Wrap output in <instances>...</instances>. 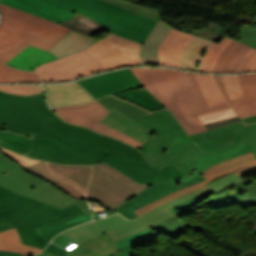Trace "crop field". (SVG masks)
Wrapping results in <instances>:
<instances>
[{
	"mask_svg": "<svg viewBox=\"0 0 256 256\" xmlns=\"http://www.w3.org/2000/svg\"><path fill=\"white\" fill-rule=\"evenodd\" d=\"M158 233L159 232L148 227L136 234L120 239L115 243L119 247V249L126 254V256H134L135 255L133 251L134 247L156 239L158 236Z\"/></svg>",
	"mask_w": 256,
	"mask_h": 256,
	"instance_id": "1d83c4d3",
	"label": "crop field"
},
{
	"mask_svg": "<svg viewBox=\"0 0 256 256\" xmlns=\"http://www.w3.org/2000/svg\"><path fill=\"white\" fill-rule=\"evenodd\" d=\"M50 107L83 104L96 100L78 82L64 85L44 86Z\"/></svg>",
	"mask_w": 256,
	"mask_h": 256,
	"instance_id": "5142ce71",
	"label": "crop field"
},
{
	"mask_svg": "<svg viewBox=\"0 0 256 256\" xmlns=\"http://www.w3.org/2000/svg\"><path fill=\"white\" fill-rule=\"evenodd\" d=\"M241 178L239 175L235 172L230 175H227L221 179L215 180L212 183L207 184L209 188H211L213 191L217 192L219 190H222L226 187H229L235 183L241 182Z\"/></svg>",
	"mask_w": 256,
	"mask_h": 256,
	"instance_id": "d23c7cc5",
	"label": "crop field"
},
{
	"mask_svg": "<svg viewBox=\"0 0 256 256\" xmlns=\"http://www.w3.org/2000/svg\"><path fill=\"white\" fill-rule=\"evenodd\" d=\"M146 89L177 117L188 135L207 130L197 115L228 108L210 107L194 74L168 69H131Z\"/></svg>",
	"mask_w": 256,
	"mask_h": 256,
	"instance_id": "34b2d1b8",
	"label": "crop field"
},
{
	"mask_svg": "<svg viewBox=\"0 0 256 256\" xmlns=\"http://www.w3.org/2000/svg\"><path fill=\"white\" fill-rule=\"evenodd\" d=\"M236 132L199 143L198 145L206 152L231 145Z\"/></svg>",
	"mask_w": 256,
	"mask_h": 256,
	"instance_id": "c21b1889",
	"label": "crop field"
},
{
	"mask_svg": "<svg viewBox=\"0 0 256 256\" xmlns=\"http://www.w3.org/2000/svg\"><path fill=\"white\" fill-rule=\"evenodd\" d=\"M99 101L109 109L116 108L154 133L139 148L152 166L161 169L171 163L187 176L196 170L165 153L172 138L185 134L183 128L169 111L149 113L114 96H105Z\"/></svg>",
	"mask_w": 256,
	"mask_h": 256,
	"instance_id": "412701ff",
	"label": "crop field"
},
{
	"mask_svg": "<svg viewBox=\"0 0 256 256\" xmlns=\"http://www.w3.org/2000/svg\"><path fill=\"white\" fill-rule=\"evenodd\" d=\"M118 97V96H117Z\"/></svg>",
	"mask_w": 256,
	"mask_h": 256,
	"instance_id": "e1d0b9f6",
	"label": "crop field"
},
{
	"mask_svg": "<svg viewBox=\"0 0 256 256\" xmlns=\"http://www.w3.org/2000/svg\"><path fill=\"white\" fill-rule=\"evenodd\" d=\"M245 189L248 192L253 205L256 206V182L245 186Z\"/></svg>",
	"mask_w": 256,
	"mask_h": 256,
	"instance_id": "1f2cbd36",
	"label": "crop field"
},
{
	"mask_svg": "<svg viewBox=\"0 0 256 256\" xmlns=\"http://www.w3.org/2000/svg\"><path fill=\"white\" fill-rule=\"evenodd\" d=\"M63 236L67 237L76 244H81L82 242L94 238V232L92 230L91 222H88L84 225L70 228L62 233Z\"/></svg>",
	"mask_w": 256,
	"mask_h": 256,
	"instance_id": "b80d0937",
	"label": "crop field"
},
{
	"mask_svg": "<svg viewBox=\"0 0 256 256\" xmlns=\"http://www.w3.org/2000/svg\"><path fill=\"white\" fill-rule=\"evenodd\" d=\"M213 77H214L215 81L217 82V84H218V86H219V88H220V90H221V92H222V94H223L225 100H226L227 102L230 101V99H229V97H228V94H227V92H226V90H225V87H224V85H223V82H222L221 77H220V76H213Z\"/></svg>",
	"mask_w": 256,
	"mask_h": 256,
	"instance_id": "0fb4a251",
	"label": "crop field"
},
{
	"mask_svg": "<svg viewBox=\"0 0 256 256\" xmlns=\"http://www.w3.org/2000/svg\"><path fill=\"white\" fill-rule=\"evenodd\" d=\"M229 147H224V148L219 149V150H215V151H212V152L205 153L200 158H198V160L195 162V164L192 167L198 169L201 165H203L208 160H213V159L225 157L228 150H229Z\"/></svg>",
	"mask_w": 256,
	"mask_h": 256,
	"instance_id": "73cf0c24",
	"label": "crop field"
},
{
	"mask_svg": "<svg viewBox=\"0 0 256 256\" xmlns=\"http://www.w3.org/2000/svg\"><path fill=\"white\" fill-rule=\"evenodd\" d=\"M0 184L4 187L59 208H66L77 202L86 213L91 210L86 200H76L48 182L24 172L19 165L0 152Z\"/></svg>",
	"mask_w": 256,
	"mask_h": 256,
	"instance_id": "d8731c3e",
	"label": "crop field"
},
{
	"mask_svg": "<svg viewBox=\"0 0 256 256\" xmlns=\"http://www.w3.org/2000/svg\"><path fill=\"white\" fill-rule=\"evenodd\" d=\"M0 60L4 63L31 45L49 50L70 29L0 4Z\"/></svg>",
	"mask_w": 256,
	"mask_h": 256,
	"instance_id": "f4fd0767",
	"label": "crop field"
},
{
	"mask_svg": "<svg viewBox=\"0 0 256 256\" xmlns=\"http://www.w3.org/2000/svg\"><path fill=\"white\" fill-rule=\"evenodd\" d=\"M53 59L56 58L49 52L29 46L5 64L21 70L33 71L36 65Z\"/></svg>",
	"mask_w": 256,
	"mask_h": 256,
	"instance_id": "ae1a2a85",
	"label": "crop field"
},
{
	"mask_svg": "<svg viewBox=\"0 0 256 256\" xmlns=\"http://www.w3.org/2000/svg\"><path fill=\"white\" fill-rule=\"evenodd\" d=\"M250 151H251V149H250L248 143H243V142L239 141L237 144H235L234 146H232L230 148L227 156L225 157V160L230 157L245 154Z\"/></svg>",
	"mask_w": 256,
	"mask_h": 256,
	"instance_id": "89e229c0",
	"label": "crop field"
},
{
	"mask_svg": "<svg viewBox=\"0 0 256 256\" xmlns=\"http://www.w3.org/2000/svg\"><path fill=\"white\" fill-rule=\"evenodd\" d=\"M141 44L108 33L87 49L107 70L139 65Z\"/></svg>",
	"mask_w": 256,
	"mask_h": 256,
	"instance_id": "28ad6ade",
	"label": "crop field"
},
{
	"mask_svg": "<svg viewBox=\"0 0 256 256\" xmlns=\"http://www.w3.org/2000/svg\"><path fill=\"white\" fill-rule=\"evenodd\" d=\"M46 251L51 252L53 254L59 255V256H64L65 252H63L61 249H59L58 247L54 246L53 244H49V246L47 247Z\"/></svg>",
	"mask_w": 256,
	"mask_h": 256,
	"instance_id": "1d79db26",
	"label": "crop field"
},
{
	"mask_svg": "<svg viewBox=\"0 0 256 256\" xmlns=\"http://www.w3.org/2000/svg\"><path fill=\"white\" fill-rule=\"evenodd\" d=\"M113 4L125 7L127 9H130L134 12H137L145 17L157 20L159 19V10L158 9H154V8H150V7H146V6H142V5H137V4H133L130 2H126V1H120V0H107Z\"/></svg>",
	"mask_w": 256,
	"mask_h": 256,
	"instance_id": "c035e120",
	"label": "crop field"
},
{
	"mask_svg": "<svg viewBox=\"0 0 256 256\" xmlns=\"http://www.w3.org/2000/svg\"><path fill=\"white\" fill-rule=\"evenodd\" d=\"M236 130H238V132L232 145L237 143L238 140H242L244 142H256V123L245 125L242 122H239L214 130L191 135L190 137L194 140V142L198 143Z\"/></svg>",
	"mask_w": 256,
	"mask_h": 256,
	"instance_id": "4177f3b9",
	"label": "crop field"
},
{
	"mask_svg": "<svg viewBox=\"0 0 256 256\" xmlns=\"http://www.w3.org/2000/svg\"><path fill=\"white\" fill-rule=\"evenodd\" d=\"M187 142H191V140L189 139L187 134H185V135H182L180 137L174 138L172 140V142L170 143L169 147L178 146V145H181V144H184V143H187Z\"/></svg>",
	"mask_w": 256,
	"mask_h": 256,
	"instance_id": "dbb93151",
	"label": "crop field"
},
{
	"mask_svg": "<svg viewBox=\"0 0 256 256\" xmlns=\"http://www.w3.org/2000/svg\"><path fill=\"white\" fill-rule=\"evenodd\" d=\"M240 41L256 49V23L241 25Z\"/></svg>",
	"mask_w": 256,
	"mask_h": 256,
	"instance_id": "425ffa30",
	"label": "crop field"
},
{
	"mask_svg": "<svg viewBox=\"0 0 256 256\" xmlns=\"http://www.w3.org/2000/svg\"><path fill=\"white\" fill-rule=\"evenodd\" d=\"M256 164L255 157L253 153H247L245 155L237 156L231 159H228L222 163H219L206 171L202 173L203 177H205L207 180H204L198 184L192 185L190 187L184 188L182 190L176 191L160 200H157L141 209H138L134 211L137 215L141 216L189 191L199 189L203 186H205L207 183L218 179L222 176H225L227 174H230L234 172L235 170L241 169L246 166H250Z\"/></svg>",
	"mask_w": 256,
	"mask_h": 256,
	"instance_id": "22f410ed",
	"label": "crop field"
},
{
	"mask_svg": "<svg viewBox=\"0 0 256 256\" xmlns=\"http://www.w3.org/2000/svg\"><path fill=\"white\" fill-rule=\"evenodd\" d=\"M244 96L228 102L242 118L256 114V74L237 76Z\"/></svg>",
	"mask_w": 256,
	"mask_h": 256,
	"instance_id": "92a150f3",
	"label": "crop field"
},
{
	"mask_svg": "<svg viewBox=\"0 0 256 256\" xmlns=\"http://www.w3.org/2000/svg\"><path fill=\"white\" fill-rule=\"evenodd\" d=\"M240 176L256 172V165L236 171Z\"/></svg>",
	"mask_w": 256,
	"mask_h": 256,
	"instance_id": "9d1cf04e",
	"label": "crop field"
},
{
	"mask_svg": "<svg viewBox=\"0 0 256 256\" xmlns=\"http://www.w3.org/2000/svg\"><path fill=\"white\" fill-rule=\"evenodd\" d=\"M0 128L20 134L36 133L26 156L63 164L104 161L138 183L150 186L167 179L185 178L171 164L159 170L140 151L116 139L62 121L49 110L44 92L16 96L0 91Z\"/></svg>",
	"mask_w": 256,
	"mask_h": 256,
	"instance_id": "8a807250",
	"label": "crop field"
},
{
	"mask_svg": "<svg viewBox=\"0 0 256 256\" xmlns=\"http://www.w3.org/2000/svg\"><path fill=\"white\" fill-rule=\"evenodd\" d=\"M176 183V180H168L154 184L148 187L138 196L133 197L126 204L116 210H118L123 216L127 217L128 219L137 218L139 216H137L132 211L144 205H147L173 191L179 190V188L176 186Z\"/></svg>",
	"mask_w": 256,
	"mask_h": 256,
	"instance_id": "d9b57169",
	"label": "crop field"
},
{
	"mask_svg": "<svg viewBox=\"0 0 256 256\" xmlns=\"http://www.w3.org/2000/svg\"><path fill=\"white\" fill-rule=\"evenodd\" d=\"M92 220V214L90 213L88 216L79 214L77 216L71 217L69 219L63 220L61 222L43 227L38 229V231L48 240L50 241L57 233L66 230L72 226H76L82 224L86 221Z\"/></svg>",
	"mask_w": 256,
	"mask_h": 256,
	"instance_id": "120bbe31",
	"label": "crop field"
},
{
	"mask_svg": "<svg viewBox=\"0 0 256 256\" xmlns=\"http://www.w3.org/2000/svg\"><path fill=\"white\" fill-rule=\"evenodd\" d=\"M0 250L17 251L25 255L37 254L42 251L22 244L15 228L0 232Z\"/></svg>",
	"mask_w": 256,
	"mask_h": 256,
	"instance_id": "750c4746",
	"label": "crop field"
},
{
	"mask_svg": "<svg viewBox=\"0 0 256 256\" xmlns=\"http://www.w3.org/2000/svg\"><path fill=\"white\" fill-rule=\"evenodd\" d=\"M34 135H20L0 129V145L25 155L31 147Z\"/></svg>",
	"mask_w": 256,
	"mask_h": 256,
	"instance_id": "bd1437ed",
	"label": "crop field"
},
{
	"mask_svg": "<svg viewBox=\"0 0 256 256\" xmlns=\"http://www.w3.org/2000/svg\"><path fill=\"white\" fill-rule=\"evenodd\" d=\"M252 47L232 40L221 54L213 72H235L238 64Z\"/></svg>",
	"mask_w": 256,
	"mask_h": 256,
	"instance_id": "eef30255",
	"label": "crop field"
},
{
	"mask_svg": "<svg viewBox=\"0 0 256 256\" xmlns=\"http://www.w3.org/2000/svg\"><path fill=\"white\" fill-rule=\"evenodd\" d=\"M210 42L194 36L191 42L183 50L180 62V68L197 70L206 47Z\"/></svg>",
	"mask_w": 256,
	"mask_h": 256,
	"instance_id": "d3111659",
	"label": "crop field"
},
{
	"mask_svg": "<svg viewBox=\"0 0 256 256\" xmlns=\"http://www.w3.org/2000/svg\"><path fill=\"white\" fill-rule=\"evenodd\" d=\"M253 22H256V16L254 17V21Z\"/></svg>",
	"mask_w": 256,
	"mask_h": 256,
	"instance_id": "0f1d7ab4",
	"label": "crop field"
},
{
	"mask_svg": "<svg viewBox=\"0 0 256 256\" xmlns=\"http://www.w3.org/2000/svg\"><path fill=\"white\" fill-rule=\"evenodd\" d=\"M247 71H256V50L253 48L246 54L236 70V72Z\"/></svg>",
	"mask_w": 256,
	"mask_h": 256,
	"instance_id": "25e5ab78",
	"label": "crop field"
},
{
	"mask_svg": "<svg viewBox=\"0 0 256 256\" xmlns=\"http://www.w3.org/2000/svg\"><path fill=\"white\" fill-rule=\"evenodd\" d=\"M237 115L231 108L200 115L199 118L202 121L203 125L210 124L213 122L225 120L228 118L236 117Z\"/></svg>",
	"mask_w": 256,
	"mask_h": 256,
	"instance_id": "5d738f31",
	"label": "crop field"
},
{
	"mask_svg": "<svg viewBox=\"0 0 256 256\" xmlns=\"http://www.w3.org/2000/svg\"><path fill=\"white\" fill-rule=\"evenodd\" d=\"M231 39L224 37L220 43L212 42L208 51L204 55L201 64L199 66L200 71L212 72L219 55L222 53L224 48L228 45Z\"/></svg>",
	"mask_w": 256,
	"mask_h": 256,
	"instance_id": "028f5c9d",
	"label": "crop field"
},
{
	"mask_svg": "<svg viewBox=\"0 0 256 256\" xmlns=\"http://www.w3.org/2000/svg\"><path fill=\"white\" fill-rule=\"evenodd\" d=\"M167 153L171 154L180 161L192 166L197 160L196 158L204 154L193 142L178 147L168 148Z\"/></svg>",
	"mask_w": 256,
	"mask_h": 256,
	"instance_id": "5866460e",
	"label": "crop field"
},
{
	"mask_svg": "<svg viewBox=\"0 0 256 256\" xmlns=\"http://www.w3.org/2000/svg\"><path fill=\"white\" fill-rule=\"evenodd\" d=\"M105 70L88 50L54 60L35 69L43 82L69 81Z\"/></svg>",
	"mask_w": 256,
	"mask_h": 256,
	"instance_id": "3316defc",
	"label": "crop field"
},
{
	"mask_svg": "<svg viewBox=\"0 0 256 256\" xmlns=\"http://www.w3.org/2000/svg\"><path fill=\"white\" fill-rule=\"evenodd\" d=\"M0 90L17 95H33L44 91L41 86L30 85H0Z\"/></svg>",
	"mask_w": 256,
	"mask_h": 256,
	"instance_id": "b54c1fbb",
	"label": "crop field"
},
{
	"mask_svg": "<svg viewBox=\"0 0 256 256\" xmlns=\"http://www.w3.org/2000/svg\"><path fill=\"white\" fill-rule=\"evenodd\" d=\"M172 29V26L159 19L143 44L141 50V65H161L157 57V50Z\"/></svg>",
	"mask_w": 256,
	"mask_h": 256,
	"instance_id": "a9b5d70f",
	"label": "crop field"
},
{
	"mask_svg": "<svg viewBox=\"0 0 256 256\" xmlns=\"http://www.w3.org/2000/svg\"><path fill=\"white\" fill-rule=\"evenodd\" d=\"M192 37L193 35L173 29L158 50L161 64L179 67L181 52Z\"/></svg>",
	"mask_w": 256,
	"mask_h": 256,
	"instance_id": "214f88e0",
	"label": "crop field"
},
{
	"mask_svg": "<svg viewBox=\"0 0 256 256\" xmlns=\"http://www.w3.org/2000/svg\"><path fill=\"white\" fill-rule=\"evenodd\" d=\"M211 194H213L212 191H210V190L206 191L192 199H189L185 202H182V203L176 205L173 208H170V210L172 212H174L176 215H174V216H172L154 226H151V227L159 232L162 231L165 234H167L168 236L176 239L178 236L183 234V232L184 233L187 232V227L191 228V226H192L191 224L182 221L179 217H177V215L180 214L181 212L191 208L192 206L196 205L197 203H199L206 197L210 196Z\"/></svg>",
	"mask_w": 256,
	"mask_h": 256,
	"instance_id": "4a817a6b",
	"label": "crop field"
},
{
	"mask_svg": "<svg viewBox=\"0 0 256 256\" xmlns=\"http://www.w3.org/2000/svg\"><path fill=\"white\" fill-rule=\"evenodd\" d=\"M96 40L81 33L70 30L49 51L57 58L85 50Z\"/></svg>",
	"mask_w": 256,
	"mask_h": 256,
	"instance_id": "730fd06b",
	"label": "crop field"
},
{
	"mask_svg": "<svg viewBox=\"0 0 256 256\" xmlns=\"http://www.w3.org/2000/svg\"><path fill=\"white\" fill-rule=\"evenodd\" d=\"M242 120H243L245 123L254 122V121H256V115L250 116V117H246V118H242Z\"/></svg>",
	"mask_w": 256,
	"mask_h": 256,
	"instance_id": "db79e9e6",
	"label": "crop field"
},
{
	"mask_svg": "<svg viewBox=\"0 0 256 256\" xmlns=\"http://www.w3.org/2000/svg\"><path fill=\"white\" fill-rule=\"evenodd\" d=\"M224 161L223 159H218V160H214V161H208L206 162L203 166H201V168H199L194 174L190 175L189 178L186 179H177L178 180V184L177 186L182 189L184 187H187L189 185L195 184L197 182L202 181L204 178L202 177V175H200L204 170H206L207 168H209L212 165H215L219 162Z\"/></svg>",
	"mask_w": 256,
	"mask_h": 256,
	"instance_id": "03da06ac",
	"label": "crop field"
},
{
	"mask_svg": "<svg viewBox=\"0 0 256 256\" xmlns=\"http://www.w3.org/2000/svg\"><path fill=\"white\" fill-rule=\"evenodd\" d=\"M79 213L77 203L62 210L14 193L0 201V231L16 227L23 243L44 249L49 242L36 229Z\"/></svg>",
	"mask_w": 256,
	"mask_h": 256,
	"instance_id": "dd49c442",
	"label": "crop field"
},
{
	"mask_svg": "<svg viewBox=\"0 0 256 256\" xmlns=\"http://www.w3.org/2000/svg\"><path fill=\"white\" fill-rule=\"evenodd\" d=\"M256 231V230H255Z\"/></svg>",
	"mask_w": 256,
	"mask_h": 256,
	"instance_id": "ae633e8c",
	"label": "crop field"
},
{
	"mask_svg": "<svg viewBox=\"0 0 256 256\" xmlns=\"http://www.w3.org/2000/svg\"><path fill=\"white\" fill-rule=\"evenodd\" d=\"M0 82H40L35 73L20 71L0 63Z\"/></svg>",
	"mask_w": 256,
	"mask_h": 256,
	"instance_id": "e1f06a70",
	"label": "crop field"
},
{
	"mask_svg": "<svg viewBox=\"0 0 256 256\" xmlns=\"http://www.w3.org/2000/svg\"><path fill=\"white\" fill-rule=\"evenodd\" d=\"M96 99L128 89L143 87L130 69L114 71L79 82Z\"/></svg>",
	"mask_w": 256,
	"mask_h": 256,
	"instance_id": "cbeb9de0",
	"label": "crop field"
},
{
	"mask_svg": "<svg viewBox=\"0 0 256 256\" xmlns=\"http://www.w3.org/2000/svg\"><path fill=\"white\" fill-rule=\"evenodd\" d=\"M0 3L53 20L57 23H62L76 16L69 11L57 8L42 0H0Z\"/></svg>",
	"mask_w": 256,
	"mask_h": 256,
	"instance_id": "733c2abd",
	"label": "crop field"
},
{
	"mask_svg": "<svg viewBox=\"0 0 256 256\" xmlns=\"http://www.w3.org/2000/svg\"><path fill=\"white\" fill-rule=\"evenodd\" d=\"M117 95L126 100L133 101L148 110H157V109L166 108L147 90L141 91V92H139L138 90L126 91Z\"/></svg>",
	"mask_w": 256,
	"mask_h": 256,
	"instance_id": "d32e631a",
	"label": "crop field"
},
{
	"mask_svg": "<svg viewBox=\"0 0 256 256\" xmlns=\"http://www.w3.org/2000/svg\"><path fill=\"white\" fill-rule=\"evenodd\" d=\"M0 256H23V255L12 253V252H0Z\"/></svg>",
	"mask_w": 256,
	"mask_h": 256,
	"instance_id": "0765c3eb",
	"label": "crop field"
},
{
	"mask_svg": "<svg viewBox=\"0 0 256 256\" xmlns=\"http://www.w3.org/2000/svg\"><path fill=\"white\" fill-rule=\"evenodd\" d=\"M194 74L211 106L225 102L224 98L220 95L211 75Z\"/></svg>",
	"mask_w": 256,
	"mask_h": 256,
	"instance_id": "0bd39190",
	"label": "crop field"
},
{
	"mask_svg": "<svg viewBox=\"0 0 256 256\" xmlns=\"http://www.w3.org/2000/svg\"><path fill=\"white\" fill-rule=\"evenodd\" d=\"M206 190H208V188L189 193L133 221H128L119 214L104 218L102 220L93 221L92 223L95 228L96 236H100L108 232L114 241L129 236L139 230L174 215L168 208L173 207L176 204L194 197Z\"/></svg>",
	"mask_w": 256,
	"mask_h": 256,
	"instance_id": "5a996713",
	"label": "crop field"
},
{
	"mask_svg": "<svg viewBox=\"0 0 256 256\" xmlns=\"http://www.w3.org/2000/svg\"><path fill=\"white\" fill-rule=\"evenodd\" d=\"M12 193H14V192H12L0 185V200Z\"/></svg>",
	"mask_w": 256,
	"mask_h": 256,
	"instance_id": "447ae74e",
	"label": "crop field"
},
{
	"mask_svg": "<svg viewBox=\"0 0 256 256\" xmlns=\"http://www.w3.org/2000/svg\"><path fill=\"white\" fill-rule=\"evenodd\" d=\"M110 112L103 117L100 122L144 143L145 140L152 134L140 124L129 119L125 115L118 112L116 109L109 110ZM99 122V123H100Z\"/></svg>",
	"mask_w": 256,
	"mask_h": 256,
	"instance_id": "00972430",
	"label": "crop field"
},
{
	"mask_svg": "<svg viewBox=\"0 0 256 256\" xmlns=\"http://www.w3.org/2000/svg\"><path fill=\"white\" fill-rule=\"evenodd\" d=\"M55 6L88 16L118 35L145 41L156 21L104 0H45Z\"/></svg>",
	"mask_w": 256,
	"mask_h": 256,
	"instance_id": "e52e79f7",
	"label": "crop field"
},
{
	"mask_svg": "<svg viewBox=\"0 0 256 256\" xmlns=\"http://www.w3.org/2000/svg\"><path fill=\"white\" fill-rule=\"evenodd\" d=\"M125 254L123 253V252H118L116 255H114V256H124Z\"/></svg>",
	"mask_w": 256,
	"mask_h": 256,
	"instance_id": "78b8030e",
	"label": "crop field"
},
{
	"mask_svg": "<svg viewBox=\"0 0 256 256\" xmlns=\"http://www.w3.org/2000/svg\"><path fill=\"white\" fill-rule=\"evenodd\" d=\"M21 168L47 180L76 199L93 200L109 210L122 206L148 187L144 183H135L104 162L83 166L43 161Z\"/></svg>",
	"mask_w": 256,
	"mask_h": 256,
	"instance_id": "ac0d7876",
	"label": "crop field"
},
{
	"mask_svg": "<svg viewBox=\"0 0 256 256\" xmlns=\"http://www.w3.org/2000/svg\"><path fill=\"white\" fill-rule=\"evenodd\" d=\"M52 110L67 122L84 125L95 131L127 142L137 148L142 145V143L137 142L102 123H99L98 121L109 111L97 101L80 106H63L53 108Z\"/></svg>",
	"mask_w": 256,
	"mask_h": 256,
	"instance_id": "d1516ede",
	"label": "crop field"
},
{
	"mask_svg": "<svg viewBox=\"0 0 256 256\" xmlns=\"http://www.w3.org/2000/svg\"><path fill=\"white\" fill-rule=\"evenodd\" d=\"M249 145H250V147H251V149H252V151H253V153L256 157V143H249Z\"/></svg>",
	"mask_w": 256,
	"mask_h": 256,
	"instance_id": "7b73153f",
	"label": "crop field"
},
{
	"mask_svg": "<svg viewBox=\"0 0 256 256\" xmlns=\"http://www.w3.org/2000/svg\"><path fill=\"white\" fill-rule=\"evenodd\" d=\"M252 178L247 179L241 183L233 185L234 188L224 190L217 194H214L204 201L201 202L202 205L211 208H223L233 204H238L242 208L251 207V201L248 194L245 192L243 186L254 182Z\"/></svg>",
	"mask_w": 256,
	"mask_h": 256,
	"instance_id": "bc2a9ffb",
	"label": "crop field"
},
{
	"mask_svg": "<svg viewBox=\"0 0 256 256\" xmlns=\"http://www.w3.org/2000/svg\"><path fill=\"white\" fill-rule=\"evenodd\" d=\"M118 247L111 240L109 235H103L91 239L72 250L65 256H112L116 254ZM35 256H56L46 251Z\"/></svg>",
	"mask_w": 256,
	"mask_h": 256,
	"instance_id": "dafd665d",
	"label": "crop field"
}]
</instances>
